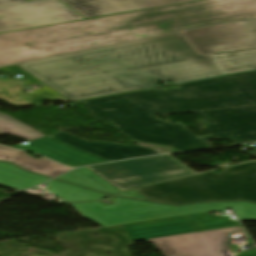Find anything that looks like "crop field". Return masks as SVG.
Segmentation results:
<instances>
[{
  "label": "crop field",
  "mask_w": 256,
  "mask_h": 256,
  "mask_svg": "<svg viewBox=\"0 0 256 256\" xmlns=\"http://www.w3.org/2000/svg\"><path fill=\"white\" fill-rule=\"evenodd\" d=\"M70 101L256 69V50L201 55L183 32L18 64Z\"/></svg>",
  "instance_id": "obj_1"
},
{
  "label": "crop field",
  "mask_w": 256,
  "mask_h": 256,
  "mask_svg": "<svg viewBox=\"0 0 256 256\" xmlns=\"http://www.w3.org/2000/svg\"><path fill=\"white\" fill-rule=\"evenodd\" d=\"M83 102L99 120L108 121L132 139L179 151L210 147V139L256 140V72ZM191 111L207 120L202 128L211 135L195 138L180 123L168 124L151 116Z\"/></svg>",
  "instance_id": "obj_2"
},
{
  "label": "crop field",
  "mask_w": 256,
  "mask_h": 256,
  "mask_svg": "<svg viewBox=\"0 0 256 256\" xmlns=\"http://www.w3.org/2000/svg\"><path fill=\"white\" fill-rule=\"evenodd\" d=\"M256 0H207L0 34V66L234 20Z\"/></svg>",
  "instance_id": "obj_3"
},
{
  "label": "crop field",
  "mask_w": 256,
  "mask_h": 256,
  "mask_svg": "<svg viewBox=\"0 0 256 256\" xmlns=\"http://www.w3.org/2000/svg\"><path fill=\"white\" fill-rule=\"evenodd\" d=\"M136 191L148 201L172 205L223 200L256 202V162L226 168L223 173L209 172Z\"/></svg>",
  "instance_id": "obj_4"
},
{
  "label": "crop field",
  "mask_w": 256,
  "mask_h": 256,
  "mask_svg": "<svg viewBox=\"0 0 256 256\" xmlns=\"http://www.w3.org/2000/svg\"><path fill=\"white\" fill-rule=\"evenodd\" d=\"M114 199L116 205L110 206H104L100 202L72 205L83 217L104 227L227 208H231L239 220L256 221V204L249 202L201 203L184 207H173L126 198L114 197Z\"/></svg>",
  "instance_id": "obj_5"
},
{
  "label": "crop field",
  "mask_w": 256,
  "mask_h": 256,
  "mask_svg": "<svg viewBox=\"0 0 256 256\" xmlns=\"http://www.w3.org/2000/svg\"><path fill=\"white\" fill-rule=\"evenodd\" d=\"M87 168L120 191L195 174L169 155L87 166Z\"/></svg>",
  "instance_id": "obj_6"
},
{
  "label": "crop field",
  "mask_w": 256,
  "mask_h": 256,
  "mask_svg": "<svg viewBox=\"0 0 256 256\" xmlns=\"http://www.w3.org/2000/svg\"><path fill=\"white\" fill-rule=\"evenodd\" d=\"M184 33L201 54L256 48V21L227 23Z\"/></svg>",
  "instance_id": "obj_7"
},
{
  "label": "crop field",
  "mask_w": 256,
  "mask_h": 256,
  "mask_svg": "<svg viewBox=\"0 0 256 256\" xmlns=\"http://www.w3.org/2000/svg\"><path fill=\"white\" fill-rule=\"evenodd\" d=\"M242 227L186 234L150 240L166 256H222L228 250L224 242L228 233L241 232ZM234 256H256V250Z\"/></svg>",
  "instance_id": "obj_8"
},
{
  "label": "crop field",
  "mask_w": 256,
  "mask_h": 256,
  "mask_svg": "<svg viewBox=\"0 0 256 256\" xmlns=\"http://www.w3.org/2000/svg\"><path fill=\"white\" fill-rule=\"evenodd\" d=\"M83 19L57 0L0 8V32Z\"/></svg>",
  "instance_id": "obj_9"
},
{
  "label": "crop field",
  "mask_w": 256,
  "mask_h": 256,
  "mask_svg": "<svg viewBox=\"0 0 256 256\" xmlns=\"http://www.w3.org/2000/svg\"><path fill=\"white\" fill-rule=\"evenodd\" d=\"M82 16H94L135 11L144 8L192 0H60Z\"/></svg>",
  "instance_id": "obj_10"
},
{
  "label": "crop field",
  "mask_w": 256,
  "mask_h": 256,
  "mask_svg": "<svg viewBox=\"0 0 256 256\" xmlns=\"http://www.w3.org/2000/svg\"><path fill=\"white\" fill-rule=\"evenodd\" d=\"M18 148L32 153L41 154L47 158L55 160L59 163L70 167L83 166L93 163L108 162L100 159L92 154L75 149L68 145L54 141L49 137H44L35 141H31L28 145H18Z\"/></svg>",
  "instance_id": "obj_11"
},
{
  "label": "crop field",
  "mask_w": 256,
  "mask_h": 256,
  "mask_svg": "<svg viewBox=\"0 0 256 256\" xmlns=\"http://www.w3.org/2000/svg\"><path fill=\"white\" fill-rule=\"evenodd\" d=\"M49 137L109 161L161 154L150 149L133 145H115L108 142H86L63 131Z\"/></svg>",
  "instance_id": "obj_12"
},
{
  "label": "crop field",
  "mask_w": 256,
  "mask_h": 256,
  "mask_svg": "<svg viewBox=\"0 0 256 256\" xmlns=\"http://www.w3.org/2000/svg\"><path fill=\"white\" fill-rule=\"evenodd\" d=\"M133 241L198 232L189 216L124 225Z\"/></svg>",
  "instance_id": "obj_13"
},
{
  "label": "crop field",
  "mask_w": 256,
  "mask_h": 256,
  "mask_svg": "<svg viewBox=\"0 0 256 256\" xmlns=\"http://www.w3.org/2000/svg\"><path fill=\"white\" fill-rule=\"evenodd\" d=\"M0 99H3L8 104L15 106L34 105L41 100L68 101L62 95L48 87L39 89L35 93L28 95L21 90V85L12 79L0 80Z\"/></svg>",
  "instance_id": "obj_14"
},
{
  "label": "crop field",
  "mask_w": 256,
  "mask_h": 256,
  "mask_svg": "<svg viewBox=\"0 0 256 256\" xmlns=\"http://www.w3.org/2000/svg\"><path fill=\"white\" fill-rule=\"evenodd\" d=\"M0 160L9 161L21 166L24 169L55 177L71 169L57 164L45 157L36 159L25 152L0 146Z\"/></svg>",
  "instance_id": "obj_15"
},
{
  "label": "crop field",
  "mask_w": 256,
  "mask_h": 256,
  "mask_svg": "<svg viewBox=\"0 0 256 256\" xmlns=\"http://www.w3.org/2000/svg\"><path fill=\"white\" fill-rule=\"evenodd\" d=\"M49 180L44 176L24 172L17 167L0 163V184L15 189H27Z\"/></svg>",
  "instance_id": "obj_16"
},
{
  "label": "crop field",
  "mask_w": 256,
  "mask_h": 256,
  "mask_svg": "<svg viewBox=\"0 0 256 256\" xmlns=\"http://www.w3.org/2000/svg\"><path fill=\"white\" fill-rule=\"evenodd\" d=\"M56 179L65 180L111 195H114L115 193L119 192L116 188H114L109 183L101 179L99 176L90 172L85 167L78 168Z\"/></svg>",
  "instance_id": "obj_17"
},
{
  "label": "crop field",
  "mask_w": 256,
  "mask_h": 256,
  "mask_svg": "<svg viewBox=\"0 0 256 256\" xmlns=\"http://www.w3.org/2000/svg\"><path fill=\"white\" fill-rule=\"evenodd\" d=\"M46 185L49 186L46 190L54 193L55 195L69 201V202H77V201H91L98 200L107 195L100 194L91 190L75 187L60 181H51Z\"/></svg>",
  "instance_id": "obj_18"
},
{
  "label": "crop field",
  "mask_w": 256,
  "mask_h": 256,
  "mask_svg": "<svg viewBox=\"0 0 256 256\" xmlns=\"http://www.w3.org/2000/svg\"><path fill=\"white\" fill-rule=\"evenodd\" d=\"M10 133L28 141L43 137V135L20 123L6 114H0V134Z\"/></svg>",
  "instance_id": "obj_19"
},
{
  "label": "crop field",
  "mask_w": 256,
  "mask_h": 256,
  "mask_svg": "<svg viewBox=\"0 0 256 256\" xmlns=\"http://www.w3.org/2000/svg\"><path fill=\"white\" fill-rule=\"evenodd\" d=\"M191 217L193 218L199 232L239 226L236 221L212 220L206 213L191 215Z\"/></svg>",
  "instance_id": "obj_20"
},
{
  "label": "crop field",
  "mask_w": 256,
  "mask_h": 256,
  "mask_svg": "<svg viewBox=\"0 0 256 256\" xmlns=\"http://www.w3.org/2000/svg\"><path fill=\"white\" fill-rule=\"evenodd\" d=\"M0 71L4 72V73H7V74H10V75L21 74L23 77H26L28 79L26 81H23L24 85H29V84H33V83H38V84L42 83L38 79L33 77L32 75L28 74L24 70L17 67L16 65L10 66V67H5V68H0Z\"/></svg>",
  "instance_id": "obj_21"
},
{
  "label": "crop field",
  "mask_w": 256,
  "mask_h": 256,
  "mask_svg": "<svg viewBox=\"0 0 256 256\" xmlns=\"http://www.w3.org/2000/svg\"><path fill=\"white\" fill-rule=\"evenodd\" d=\"M118 196H123V197H129V198H135V199L143 200L134 190L121 193Z\"/></svg>",
  "instance_id": "obj_22"
},
{
  "label": "crop field",
  "mask_w": 256,
  "mask_h": 256,
  "mask_svg": "<svg viewBox=\"0 0 256 256\" xmlns=\"http://www.w3.org/2000/svg\"><path fill=\"white\" fill-rule=\"evenodd\" d=\"M21 2H26V0H0V6L12 5Z\"/></svg>",
  "instance_id": "obj_23"
},
{
  "label": "crop field",
  "mask_w": 256,
  "mask_h": 256,
  "mask_svg": "<svg viewBox=\"0 0 256 256\" xmlns=\"http://www.w3.org/2000/svg\"><path fill=\"white\" fill-rule=\"evenodd\" d=\"M102 123H104L105 125H107V126L113 128V129H115L116 131H118V132H120V133H122V134H125V133H123L122 131H120L119 129H117L116 127H114L113 125L109 124V123L106 122V121H102ZM125 135H127V134H125Z\"/></svg>",
  "instance_id": "obj_24"
},
{
  "label": "crop field",
  "mask_w": 256,
  "mask_h": 256,
  "mask_svg": "<svg viewBox=\"0 0 256 256\" xmlns=\"http://www.w3.org/2000/svg\"><path fill=\"white\" fill-rule=\"evenodd\" d=\"M252 155L256 156V148H255L254 151L252 152Z\"/></svg>",
  "instance_id": "obj_25"
}]
</instances>
